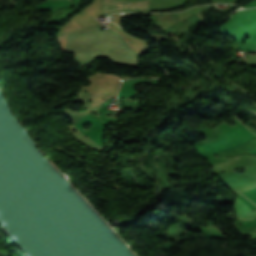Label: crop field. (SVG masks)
I'll return each instance as SVG.
<instances>
[{
  "mask_svg": "<svg viewBox=\"0 0 256 256\" xmlns=\"http://www.w3.org/2000/svg\"><path fill=\"white\" fill-rule=\"evenodd\" d=\"M241 195V194H240ZM238 194V197H237V201H236V205H235V208H236V211H237V214H238V217L242 218V219H253L255 216H256V206L254 207L253 205H251L248 201H246L242 196H240Z\"/></svg>",
  "mask_w": 256,
  "mask_h": 256,
  "instance_id": "2",
  "label": "crop field"
},
{
  "mask_svg": "<svg viewBox=\"0 0 256 256\" xmlns=\"http://www.w3.org/2000/svg\"><path fill=\"white\" fill-rule=\"evenodd\" d=\"M226 135L231 139L235 146L255 137L244 125L241 123L234 125L226 130ZM256 154V150L250 152ZM246 154V153H245Z\"/></svg>",
  "mask_w": 256,
  "mask_h": 256,
  "instance_id": "1",
  "label": "crop field"
}]
</instances>
